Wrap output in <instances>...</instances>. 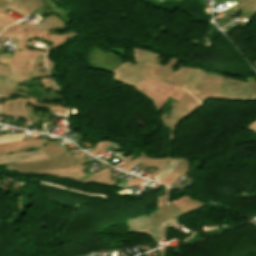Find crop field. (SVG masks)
I'll use <instances>...</instances> for the list:
<instances>
[{"label": "crop field", "instance_id": "8a807250", "mask_svg": "<svg viewBox=\"0 0 256 256\" xmlns=\"http://www.w3.org/2000/svg\"><path fill=\"white\" fill-rule=\"evenodd\" d=\"M24 134L0 136V142L22 139Z\"/></svg>", "mask_w": 256, "mask_h": 256}]
</instances>
